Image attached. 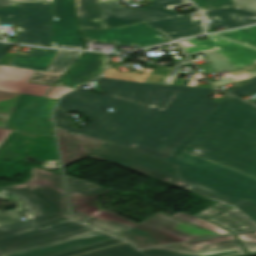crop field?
I'll return each instance as SVG.
<instances>
[{
  "label": "crop field",
  "instance_id": "8a807250",
  "mask_svg": "<svg viewBox=\"0 0 256 256\" xmlns=\"http://www.w3.org/2000/svg\"><path fill=\"white\" fill-rule=\"evenodd\" d=\"M97 82L106 95L77 89L57 103L92 122L77 129L56 108V127L108 141L91 158L233 207L256 224V178L241 173L256 176V106L227 94L209 100L216 89L105 77Z\"/></svg>",
  "mask_w": 256,
  "mask_h": 256
},
{
  "label": "crop field",
  "instance_id": "ac0d7876",
  "mask_svg": "<svg viewBox=\"0 0 256 256\" xmlns=\"http://www.w3.org/2000/svg\"><path fill=\"white\" fill-rule=\"evenodd\" d=\"M4 189L7 194L1 192ZM0 198L13 201L15 210L0 211V256H6L80 234L95 231L70 219L61 174L33 167L22 184L0 187Z\"/></svg>",
  "mask_w": 256,
  "mask_h": 256
},
{
  "label": "crop field",
  "instance_id": "34b2d1b8",
  "mask_svg": "<svg viewBox=\"0 0 256 256\" xmlns=\"http://www.w3.org/2000/svg\"><path fill=\"white\" fill-rule=\"evenodd\" d=\"M206 37L177 43L187 55L215 50L235 68L256 64V26Z\"/></svg>",
  "mask_w": 256,
  "mask_h": 256
},
{
  "label": "crop field",
  "instance_id": "412701ff",
  "mask_svg": "<svg viewBox=\"0 0 256 256\" xmlns=\"http://www.w3.org/2000/svg\"><path fill=\"white\" fill-rule=\"evenodd\" d=\"M0 9V23L17 26V42L52 47L53 2L17 3ZM7 15H11L7 18ZM3 40V37L0 36Z\"/></svg>",
  "mask_w": 256,
  "mask_h": 256
},
{
  "label": "crop field",
  "instance_id": "f4fd0767",
  "mask_svg": "<svg viewBox=\"0 0 256 256\" xmlns=\"http://www.w3.org/2000/svg\"><path fill=\"white\" fill-rule=\"evenodd\" d=\"M118 4V0L100 3L105 28L176 15L178 13L173 8L190 3L187 0H152L151 5L141 8L120 7Z\"/></svg>",
  "mask_w": 256,
  "mask_h": 256
},
{
  "label": "crop field",
  "instance_id": "dd49c442",
  "mask_svg": "<svg viewBox=\"0 0 256 256\" xmlns=\"http://www.w3.org/2000/svg\"><path fill=\"white\" fill-rule=\"evenodd\" d=\"M145 22L107 29H81V31L85 41L117 43V45L138 48L169 41Z\"/></svg>",
  "mask_w": 256,
  "mask_h": 256
},
{
  "label": "crop field",
  "instance_id": "e52e79f7",
  "mask_svg": "<svg viewBox=\"0 0 256 256\" xmlns=\"http://www.w3.org/2000/svg\"><path fill=\"white\" fill-rule=\"evenodd\" d=\"M54 102L48 98L22 95L11 120L16 129L54 134L52 122L47 121Z\"/></svg>",
  "mask_w": 256,
  "mask_h": 256
},
{
  "label": "crop field",
  "instance_id": "d8731c3e",
  "mask_svg": "<svg viewBox=\"0 0 256 256\" xmlns=\"http://www.w3.org/2000/svg\"><path fill=\"white\" fill-rule=\"evenodd\" d=\"M73 219L83 222L100 211L96 197L110 189L66 176Z\"/></svg>",
  "mask_w": 256,
  "mask_h": 256
},
{
  "label": "crop field",
  "instance_id": "5a996713",
  "mask_svg": "<svg viewBox=\"0 0 256 256\" xmlns=\"http://www.w3.org/2000/svg\"><path fill=\"white\" fill-rule=\"evenodd\" d=\"M53 47L85 49L75 21L73 0H54Z\"/></svg>",
  "mask_w": 256,
  "mask_h": 256
},
{
  "label": "crop field",
  "instance_id": "3316defc",
  "mask_svg": "<svg viewBox=\"0 0 256 256\" xmlns=\"http://www.w3.org/2000/svg\"><path fill=\"white\" fill-rule=\"evenodd\" d=\"M105 67L104 53L86 52L56 85L75 88L100 75Z\"/></svg>",
  "mask_w": 256,
  "mask_h": 256
},
{
  "label": "crop field",
  "instance_id": "28ad6ade",
  "mask_svg": "<svg viewBox=\"0 0 256 256\" xmlns=\"http://www.w3.org/2000/svg\"><path fill=\"white\" fill-rule=\"evenodd\" d=\"M35 70L0 65V90L45 96L51 86L28 82Z\"/></svg>",
  "mask_w": 256,
  "mask_h": 256
},
{
  "label": "crop field",
  "instance_id": "d1516ede",
  "mask_svg": "<svg viewBox=\"0 0 256 256\" xmlns=\"http://www.w3.org/2000/svg\"><path fill=\"white\" fill-rule=\"evenodd\" d=\"M197 11L146 21L159 32L174 40L202 33L199 17H192Z\"/></svg>",
  "mask_w": 256,
  "mask_h": 256
},
{
  "label": "crop field",
  "instance_id": "22f410ed",
  "mask_svg": "<svg viewBox=\"0 0 256 256\" xmlns=\"http://www.w3.org/2000/svg\"><path fill=\"white\" fill-rule=\"evenodd\" d=\"M206 29L223 26L225 29L256 23V12L238 6L201 11ZM206 20H211L207 24Z\"/></svg>",
  "mask_w": 256,
  "mask_h": 256
},
{
  "label": "crop field",
  "instance_id": "cbeb9de0",
  "mask_svg": "<svg viewBox=\"0 0 256 256\" xmlns=\"http://www.w3.org/2000/svg\"><path fill=\"white\" fill-rule=\"evenodd\" d=\"M57 130L64 166L87 156L105 142L67 130Z\"/></svg>",
  "mask_w": 256,
  "mask_h": 256
},
{
  "label": "crop field",
  "instance_id": "5142ce71",
  "mask_svg": "<svg viewBox=\"0 0 256 256\" xmlns=\"http://www.w3.org/2000/svg\"><path fill=\"white\" fill-rule=\"evenodd\" d=\"M183 244L195 256H233L246 254L233 234Z\"/></svg>",
  "mask_w": 256,
  "mask_h": 256
},
{
  "label": "crop field",
  "instance_id": "d9b57169",
  "mask_svg": "<svg viewBox=\"0 0 256 256\" xmlns=\"http://www.w3.org/2000/svg\"><path fill=\"white\" fill-rule=\"evenodd\" d=\"M140 224L162 231L183 240L216 235L215 233L183 223L159 212L142 221Z\"/></svg>",
  "mask_w": 256,
  "mask_h": 256
},
{
  "label": "crop field",
  "instance_id": "733c2abd",
  "mask_svg": "<svg viewBox=\"0 0 256 256\" xmlns=\"http://www.w3.org/2000/svg\"><path fill=\"white\" fill-rule=\"evenodd\" d=\"M115 239L98 231L80 235L56 243L48 244L31 250L23 251L9 256H51L84 246Z\"/></svg>",
  "mask_w": 256,
  "mask_h": 256
},
{
  "label": "crop field",
  "instance_id": "4a817a6b",
  "mask_svg": "<svg viewBox=\"0 0 256 256\" xmlns=\"http://www.w3.org/2000/svg\"><path fill=\"white\" fill-rule=\"evenodd\" d=\"M195 215L209 219L232 232L256 229V225L241 212L219 203Z\"/></svg>",
  "mask_w": 256,
  "mask_h": 256
},
{
  "label": "crop field",
  "instance_id": "bc2a9ffb",
  "mask_svg": "<svg viewBox=\"0 0 256 256\" xmlns=\"http://www.w3.org/2000/svg\"><path fill=\"white\" fill-rule=\"evenodd\" d=\"M82 52L58 50L45 71L36 70L30 81L53 85Z\"/></svg>",
  "mask_w": 256,
  "mask_h": 256
},
{
  "label": "crop field",
  "instance_id": "214f88e0",
  "mask_svg": "<svg viewBox=\"0 0 256 256\" xmlns=\"http://www.w3.org/2000/svg\"><path fill=\"white\" fill-rule=\"evenodd\" d=\"M80 28H104L99 0H75Z\"/></svg>",
  "mask_w": 256,
  "mask_h": 256
},
{
  "label": "crop field",
  "instance_id": "92a150f3",
  "mask_svg": "<svg viewBox=\"0 0 256 256\" xmlns=\"http://www.w3.org/2000/svg\"><path fill=\"white\" fill-rule=\"evenodd\" d=\"M83 224L104 231L106 233L112 234L114 236L123 232L127 228L135 225L134 223L128 220L122 219L120 217L114 216L103 211L88 219Z\"/></svg>",
  "mask_w": 256,
  "mask_h": 256
},
{
  "label": "crop field",
  "instance_id": "dafd665d",
  "mask_svg": "<svg viewBox=\"0 0 256 256\" xmlns=\"http://www.w3.org/2000/svg\"><path fill=\"white\" fill-rule=\"evenodd\" d=\"M57 50L32 49L30 55H14L9 65L45 70Z\"/></svg>",
  "mask_w": 256,
  "mask_h": 256
},
{
  "label": "crop field",
  "instance_id": "00972430",
  "mask_svg": "<svg viewBox=\"0 0 256 256\" xmlns=\"http://www.w3.org/2000/svg\"><path fill=\"white\" fill-rule=\"evenodd\" d=\"M28 151L48 157L55 161L52 163L53 167L60 168L55 137L40 135Z\"/></svg>",
  "mask_w": 256,
  "mask_h": 256
},
{
  "label": "crop field",
  "instance_id": "a9b5d70f",
  "mask_svg": "<svg viewBox=\"0 0 256 256\" xmlns=\"http://www.w3.org/2000/svg\"><path fill=\"white\" fill-rule=\"evenodd\" d=\"M78 256H145L141 252L135 250L128 243L115 245L101 250L89 252Z\"/></svg>",
  "mask_w": 256,
  "mask_h": 256
},
{
  "label": "crop field",
  "instance_id": "4177f3b9",
  "mask_svg": "<svg viewBox=\"0 0 256 256\" xmlns=\"http://www.w3.org/2000/svg\"><path fill=\"white\" fill-rule=\"evenodd\" d=\"M148 256H194L182 243L140 250Z\"/></svg>",
  "mask_w": 256,
  "mask_h": 256
},
{
  "label": "crop field",
  "instance_id": "730fd06b",
  "mask_svg": "<svg viewBox=\"0 0 256 256\" xmlns=\"http://www.w3.org/2000/svg\"><path fill=\"white\" fill-rule=\"evenodd\" d=\"M21 94L0 91V126L4 127Z\"/></svg>",
  "mask_w": 256,
  "mask_h": 256
},
{
  "label": "crop field",
  "instance_id": "eef30255",
  "mask_svg": "<svg viewBox=\"0 0 256 256\" xmlns=\"http://www.w3.org/2000/svg\"><path fill=\"white\" fill-rule=\"evenodd\" d=\"M128 230L133 231L135 233H138L140 235H143L147 238H150V239L155 240L157 242H160L162 244L182 241L178 238H175V237H172L170 235L161 233L159 231L153 230L151 228L145 227V226L140 225V224H137V225L129 228Z\"/></svg>",
  "mask_w": 256,
  "mask_h": 256
},
{
  "label": "crop field",
  "instance_id": "ae1a2a85",
  "mask_svg": "<svg viewBox=\"0 0 256 256\" xmlns=\"http://www.w3.org/2000/svg\"><path fill=\"white\" fill-rule=\"evenodd\" d=\"M176 218H179L183 221H186V222H189L191 224H194V225H197V226H200L202 228H205L207 230H210V231H213V232H216V233H219V234H223V233H229L228 231L204 220V219H201V218H198V217H195V216H191V215H188V214H185V213H182V212H178L174 215H172Z\"/></svg>",
  "mask_w": 256,
  "mask_h": 256
},
{
  "label": "crop field",
  "instance_id": "d3111659",
  "mask_svg": "<svg viewBox=\"0 0 256 256\" xmlns=\"http://www.w3.org/2000/svg\"><path fill=\"white\" fill-rule=\"evenodd\" d=\"M117 237L130 242L133 246L137 248H145L149 246L160 245V243L147 239L128 230L119 234Z\"/></svg>",
  "mask_w": 256,
  "mask_h": 256
},
{
  "label": "crop field",
  "instance_id": "750c4746",
  "mask_svg": "<svg viewBox=\"0 0 256 256\" xmlns=\"http://www.w3.org/2000/svg\"><path fill=\"white\" fill-rule=\"evenodd\" d=\"M119 243H123V242L118 240V239H115V240L103 242V243H100V244L84 247V248H81V249L69 251V252L54 255V256H73V255L89 252V251H92V250L108 247V246L119 244Z\"/></svg>",
  "mask_w": 256,
  "mask_h": 256
},
{
  "label": "crop field",
  "instance_id": "bd1437ed",
  "mask_svg": "<svg viewBox=\"0 0 256 256\" xmlns=\"http://www.w3.org/2000/svg\"><path fill=\"white\" fill-rule=\"evenodd\" d=\"M204 54L211 61V63L216 67L218 71H224V70H229L234 68L215 51L206 52ZM218 71H215V72H218Z\"/></svg>",
  "mask_w": 256,
  "mask_h": 256
},
{
  "label": "crop field",
  "instance_id": "1d83c4d3",
  "mask_svg": "<svg viewBox=\"0 0 256 256\" xmlns=\"http://www.w3.org/2000/svg\"><path fill=\"white\" fill-rule=\"evenodd\" d=\"M200 10L234 5L232 0H192Z\"/></svg>",
  "mask_w": 256,
  "mask_h": 256
},
{
  "label": "crop field",
  "instance_id": "120bbe31",
  "mask_svg": "<svg viewBox=\"0 0 256 256\" xmlns=\"http://www.w3.org/2000/svg\"><path fill=\"white\" fill-rule=\"evenodd\" d=\"M236 235L249 251V253H256V231L236 233Z\"/></svg>",
  "mask_w": 256,
  "mask_h": 256
},
{
  "label": "crop field",
  "instance_id": "d32e631a",
  "mask_svg": "<svg viewBox=\"0 0 256 256\" xmlns=\"http://www.w3.org/2000/svg\"><path fill=\"white\" fill-rule=\"evenodd\" d=\"M252 82L242 85L240 87L228 90L227 92L235 94L237 96L239 95H247L253 92H256V77L250 78ZM256 104V100L253 102Z\"/></svg>",
  "mask_w": 256,
  "mask_h": 256
},
{
  "label": "crop field",
  "instance_id": "5866460e",
  "mask_svg": "<svg viewBox=\"0 0 256 256\" xmlns=\"http://www.w3.org/2000/svg\"><path fill=\"white\" fill-rule=\"evenodd\" d=\"M69 90H71V89L70 88L54 86L51 89V91L49 92V94L47 95V97L48 98L58 99L60 95L68 92Z\"/></svg>",
  "mask_w": 256,
  "mask_h": 256
},
{
  "label": "crop field",
  "instance_id": "028f5c9d",
  "mask_svg": "<svg viewBox=\"0 0 256 256\" xmlns=\"http://www.w3.org/2000/svg\"><path fill=\"white\" fill-rule=\"evenodd\" d=\"M235 5L256 11V0H233Z\"/></svg>",
  "mask_w": 256,
  "mask_h": 256
},
{
  "label": "crop field",
  "instance_id": "e1f06a70",
  "mask_svg": "<svg viewBox=\"0 0 256 256\" xmlns=\"http://www.w3.org/2000/svg\"><path fill=\"white\" fill-rule=\"evenodd\" d=\"M14 131V130H13ZM12 132L10 129H4L0 128V145L3 143V141L9 136V134Z\"/></svg>",
  "mask_w": 256,
  "mask_h": 256
},
{
  "label": "crop field",
  "instance_id": "0bd39190",
  "mask_svg": "<svg viewBox=\"0 0 256 256\" xmlns=\"http://www.w3.org/2000/svg\"><path fill=\"white\" fill-rule=\"evenodd\" d=\"M17 5L14 0H0V8Z\"/></svg>",
  "mask_w": 256,
  "mask_h": 256
},
{
  "label": "crop field",
  "instance_id": "b80d0937",
  "mask_svg": "<svg viewBox=\"0 0 256 256\" xmlns=\"http://www.w3.org/2000/svg\"><path fill=\"white\" fill-rule=\"evenodd\" d=\"M10 44L0 42V61L2 60L3 55L6 53Z\"/></svg>",
  "mask_w": 256,
  "mask_h": 256
},
{
  "label": "crop field",
  "instance_id": "c035e120",
  "mask_svg": "<svg viewBox=\"0 0 256 256\" xmlns=\"http://www.w3.org/2000/svg\"><path fill=\"white\" fill-rule=\"evenodd\" d=\"M34 1H53V0H15V2H34Z\"/></svg>",
  "mask_w": 256,
  "mask_h": 256
},
{
  "label": "crop field",
  "instance_id": "c21b1889",
  "mask_svg": "<svg viewBox=\"0 0 256 256\" xmlns=\"http://www.w3.org/2000/svg\"><path fill=\"white\" fill-rule=\"evenodd\" d=\"M102 1H108V0H100V2H102Z\"/></svg>",
  "mask_w": 256,
  "mask_h": 256
},
{
  "label": "crop field",
  "instance_id": "03da06ac",
  "mask_svg": "<svg viewBox=\"0 0 256 256\" xmlns=\"http://www.w3.org/2000/svg\"><path fill=\"white\" fill-rule=\"evenodd\" d=\"M25 217V216H24ZM26 218V217H25ZM65 221H69V220H65Z\"/></svg>",
  "mask_w": 256,
  "mask_h": 256
}]
</instances>
